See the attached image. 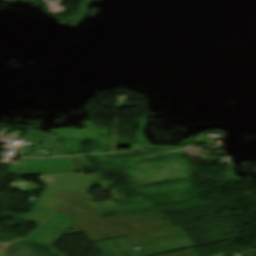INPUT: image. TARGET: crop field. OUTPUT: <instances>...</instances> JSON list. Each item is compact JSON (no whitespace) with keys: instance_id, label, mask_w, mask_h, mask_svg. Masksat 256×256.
<instances>
[{"instance_id":"3","label":"crop field","mask_w":256,"mask_h":256,"mask_svg":"<svg viewBox=\"0 0 256 256\" xmlns=\"http://www.w3.org/2000/svg\"><path fill=\"white\" fill-rule=\"evenodd\" d=\"M42 1L47 3L48 9H49L50 13H52V14L66 11L65 9H63V8H61V7L56 5L58 2H61L63 0L56 1V2L47 1V0H42Z\"/></svg>"},{"instance_id":"1","label":"crop field","mask_w":256,"mask_h":256,"mask_svg":"<svg viewBox=\"0 0 256 256\" xmlns=\"http://www.w3.org/2000/svg\"><path fill=\"white\" fill-rule=\"evenodd\" d=\"M20 218L41 225L28 240L50 246H53L78 220L38 204L31 212Z\"/></svg>"},{"instance_id":"5","label":"crop field","mask_w":256,"mask_h":256,"mask_svg":"<svg viewBox=\"0 0 256 256\" xmlns=\"http://www.w3.org/2000/svg\"><path fill=\"white\" fill-rule=\"evenodd\" d=\"M0 256H7V255H5V254H3V253L0 252Z\"/></svg>"},{"instance_id":"4","label":"crop field","mask_w":256,"mask_h":256,"mask_svg":"<svg viewBox=\"0 0 256 256\" xmlns=\"http://www.w3.org/2000/svg\"><path fill=\"white\" fill-rule=\"evenodd\" d=\"M179 229H180L179 227H175V228H171V229H166V230H161V231H156V232H151V233H146V234H141V235H136V236H131L130 239L143 237V236H148V235H153V234L164 233V232H169V231H174V230H179Z\"/></svg>"},{"instance_id":"6","label":"crop field","mask_w":256,"mask_h":256,"mask_svg":"<svg viewBox=\"0 0 256 256\" xmlns=\"http://www.w3.org/2000/svg\"><path fill=\"white\" fill-rule=\"evenodd\" d=\"M2 243H0V245H1Z\"/></svg>"},{"instance_id":"2","label":"crop field","mask_w":256,"mask_h":256,"mask_svg":"<svg viewBox=\"0 0 256 256\" xmlns=\"http://www.w3.org/2000/svg\"><path fill=\"white\" fill-rule=\"evenodd\" d=\"M94 244L104 254L102 256H147L193 245L189 238H186L140 246L141 249L134 251L132 248H136L137 246L129 239V237L96 242Z\"/></svg>"}]
</instances>
